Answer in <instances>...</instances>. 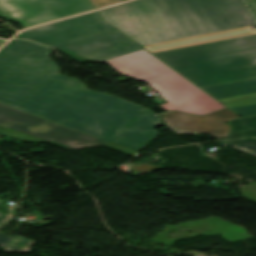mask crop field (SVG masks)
<instances>
[{
	"label": "crop field",
	"instance_id": "crop-field-2",
	"mask_svg": "<svg viewBox=\"0 0 256 256\" xmlns=\"http://www.w3.org/2000/svg\"><path fill=\"white\" fill-rule=\"evenodd\" d=\"M100 13L141 46L256 24L242 0H136Z\"/></svg>",
	"mask_w": 256,
	"mask_h": 256
},
{
	"label": "crop field",
	"instance_id": "crop-field-16",
	"mask_svg": "<svg viewBox=\"0 0 256 256\" xmlns=\"http://www.w3.org/2000/svg\"><path fill=\"white\" fill-rule=\"evenodd\" d=\"M6 128L0 126V134L5 130Z\"/></svg>",
	"mask_w": 256,
	"mask_h": 256
},
{
	"label": "crop field",
	"instance_id": "crop-field-6",
	"mask_svg": "<svg viewBox=\"0 0 256 256\" xmlns=\"http://www.w3.org/2000/svg\"><path fill=\"white\" fill-rule=\"evenodd\" d=\"M90 10L89 0H0V17L24 28Z\"/></svg>",
	"mask_w": 256,
	"mask_h": 256
},
{
	"label": "crop field",
	"instance_id": "crop-field-15",
	"mask_svg": "<svg viewBox=\"0 0 256 256\" xmlns=\"http://www.w3.org/2000/svg\"><path fill=\"white\" fill-rule=\"evenodd\" d=\"M256 17V0H245Z\"/></svg>",
	"mask_w": 256,
	"mask_h": 256
},
{
	"label": "crop field",
	"instance_id": "crop-field-13",
	"mask_svg": "<svg viewBox=\"0 0 256 256\" xmlns=\"http://www.w3.org/2000/svg\"><path fill=\"white\" fill-rule=\"evenodd\" d=\"M97 8L119 3L120 0H91Z\"/></svg>",
	"mask_w": 256,
	"mask_h": 256
},
{
	"label": "crop field",
	"instance_id": "crop-field-17",
	"mask_svg": "<svg viewBox=\"0 0 256 256\" xmlns=\"http://www.w3.org/2000/svg\"><path fill=\"white\" fill-rule=\"evenodd\" d=\"M4 42H6V40L0 39V46H1Z\"/></svg>",
	"mask_w": 256,
	"mask_h": 256
},
{
	"label": "crop field",
	"instance_id": "crop-field-3",
	"mask_svg": "<svg viewBox=\"0 0 256 256\" xmlns=\"http://www.w3.org/2000/svg\"><path fill=\"white\" fill-rule=\"evenodd\" d=\"M15 38L56 48L80 64L107 63L143 82L175 72L105 23L97 11L29 29Z\"/></svg>",
	"mask_w": 256,
	"mask_h": 256
},
{
	"label": "crop field",
	"instance_id": "crop-field-11",
	"mask_svg": "<svg viewBox=\"0 0 256 256\" xmlns=\"http://www.w3.org/2000/svg\"><path fill=\"white\" fill-rule=\"evenodd\" d=\"M4 135H7L9 137L15 138V139L20 140V141L44 142V141L38 140L36 138H33V137H30V136L15 132L11 129H9L7 132H5Z\"/></svg>",
	"mask_w": 256,
	"mask_h": 256
},
{
	"label": "crop field",
	"instance_id": "crop-field-10",
	"mask_svg": "<svg viewBox=\"0 0 256 256\" xmlns=\"http://www.w3.org/2000/svg\"><path fill=\"white\" fill-rule=\"evenodd\" d=\"M232 125L226 144L256 155V116L228 122Z\"/></svg>",
	"mask_w": 256,
	"mask_h": 256
},
{
	"label": "crop field",
	"instance_id": "crop-field-8",
	"mask_svg": "<svg viewBox=\"0 0 256 256\" xmlns=\"http://www.w3.org/2000/svg\"><path fill=\"white\" fill-rule=\"evenodd\" d=\"M169 129L176 134L201 133L216 139L228 136L231 126L225 122L239 118L228 108L206 115L193 116L186 113L172 111L161 114Z\"/></svg>",
	"mask_w": 256,
	"mask_h": 256
},
{
	"label": "crop field",
	"instance_id": "crop-field-1",
	"mask_svg": "<svg viewBox=\"0 0 256 256\" xmlns=\"http://www.w3.org/2000/svg\"><path fill=\"white\" fill-rule=\"evenodd\" d=\"M49 50L19 40L0 50V101L136 151L159 135L157 114L59 74Z\"/></svg>",
	"mask_w": 256,
	"mask_h": 256
},
{
	"label": "crop field",
	"instance_id": "crop-field-9",
	"mask_svg": "<svg viewBox=\"0 0 256 256\" xmlns=\"http://www.w3.org/2000/svg\"><path fill=\"white\" fill-rule=\"evenodd\" d=\"M203 90L243 117L256 115V78L203 88Z\"/></svg>",
	"mask_w": 256,
	"mask_h": 256
},
{
	"label": "crop field",
	"instance_id": "crop-field-5",
	"mask_svg": "<svg viewBox=\"0 0 256 256\" xmlns=\"http://www.w3.org/2000/svg\"><path fill=\"white\" fill-rule=\"evenodd\" d=\"M0 125L36 137L64 149L105 145L130 155H140L112 143L66 128L29 113L0 104Z\"/></svg>",
	"mask_w": 256,
	"mask_h": 256
},
{
	"label": "crop field",
	"instance_id": "crop-field-7",
	"mask_svg": "<svg viewBox=\"0 0 256 256\" xmlns=\"http://www.w3.org/2000/svg\"><path fill=\"white\" fill-rule=\"evenodd\" d=\"M147 84L169 102L160 105L167 112L178 110L203 116L226 108L177 72Z\"/></svg>",
	"mask_w": 256,
	"mask_h": 256
},
{
	"label": "crop field",
	"instance_id": "crop-field-14",
	"mask_svg": "<svg viewBox=\"0 0 256 256\" xmlns=\"http://www.w3.org/2000/svg\"><path fill=\"white\" fill-rule=\"evenodd\" d=\"M11 240H12V238L0 234V246L6 248V246L8 245V243H9Z\"/></svg>",
	"mask_w": 256,
	"mask_h": 256
},
{
	"label": "crop field",
	"instance_id": "crop-field-12",
	"mask_svg": "<svg viewBox=\"0 0 256 256\" xmlns=\"http://www.w3.org/2000/svg\"><path fill=\"white\" fill-rule=\"evenodd\" d=\"M2 202H4V201L0 200V203H2ZM15 208H16L15 206L10 205L7 216L0 213V227L7 221L12 220Z\"/></svg>",
	"mask_w": 256,
	"mask_h": 256
},
{
	"label": "crop field",
	"instance_id": "crop-field-4",
	"mask_svg": "<svg viewBox=\"0 0 256 256\" xmlns=\"http://www.w3.org/2000/svg\"><path fill=\"white\" fill-rule=\"evenodd\" d=\"M155 55L200 88L256 77V35Z\"/></svg>",
	"mask_w": 256,
	"mask_h": 256
},
{
	"label": "crop field",
	"instance_id": "crop-field-18",
	"mask_svg": "<svg viewBox=\"0 0 256 256\" xmlns=\"http://www.w3.org/2000/svg\"><path fill=\"white\" fill-rule=\"evenodd\" d=\"M123 1H126V0H121V2H123Z\"/></svg>",
	"mask_w": 256,
	"mask_h": 256
}]
</instances>
